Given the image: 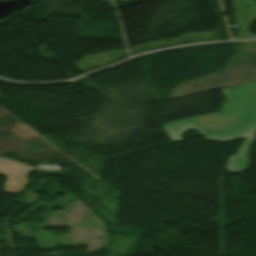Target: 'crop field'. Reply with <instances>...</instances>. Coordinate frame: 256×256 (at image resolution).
Returning <instances> with one entry per match:
<instances>
[{
	"label": "crop field",
	"mask_w": 256,
	"mask_h": 256,
	"mask_svg": "<svg viewBox=\"0 0 256 256\" xmlns=\"http://www.w3.org/2000/svg\"><path fill=\"white\" fill-rule=\"evenodd\" d=\"M227 102L220 112L179 120L163 125L171 141H181L179 135L195 129L205 140L227 142L246 138L236 156H230L227 168L230 173H241L247 168V152L256 128V82L221 90ZM204 130L211 131L210 135Z\"/></svg>",
	"instance_id": "8a807250"
},
{
	"label": "crop field",
	"mask_w": 256,
	"mask_h": 256,
	"mask_svg": "<svg viewBox=\"0 0 256 256\" xmlns=\"http://www.w3.org/2000/svg\"><path fill=\"white\" fill-rule=\"evenodd\" d=\"M239 38L256 37L249 32V27L256 20V1L254 0H231ZM234 37V38H236Z\"/></svg>",
	"instance_id": "ac0d7876"
},
{
	"label": "crop field",
	"mask_w": 256,
	"mask_h": 256,
	"mask_svg": "<svg viewBox=\"0 0 256 256\" xmlns=\"http://www.w3.org/2000/svg\"><path fill=\"white\" fill-rule=\"evenodd\" d=\"M246 51H256V40L242 42Z\"/></svg>",
	"instance_id": "34b2d1b8"
}]
</instances>
